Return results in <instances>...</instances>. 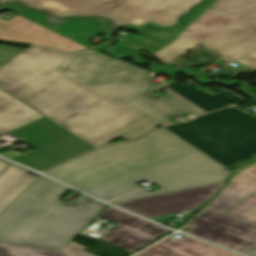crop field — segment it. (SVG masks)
I'll use <instances>...</instances> for the list:
<instances>
[{"instance_id":"obj_18","label":"crop field","mask_w":256,"mask_h":256,"mask_svg":"<svg viewBox=\"0 0 256 256\" xmlns=\"http://www.w3.org/2000/svg\"><path fill=\"white\" fill-rule=\"evenodd\" d=\"M43 117L0 89V135Z\"/></svg>"},{"instance_id":"obj_4","label":"crop field","mask_w":256,"mask_h":256,"mask_svg":"<svg viewBox=\"0 0 256 256\" xmlns=\"http://www.w3.org/2000/svg\"><path fill=\"white\" fill-rule=\"evenodd\" d=\"M166 129L225 167L256 153V118L235 107Z\"/></svg>"},{"instance_id":"obj_16","label":"crop field","mask_w":256,"mask_h":256,"mask_svg":"<svg viewBox=\"0 0 256 256\" xmlns=\"http://www.w3.org/2000/svg\"><path fill=\"white\" fill-rule=\"evenodd\" d=\"M136 256H240L235 253L183 236L166 238Z\"/></svg>"},{"instance_id":"obj_28","label":"crop field","mask_w":256,"mask_h":256,"mask_svg":"<svg viewBox=\"0 0 256 256\" xmlns=\"http://www.w3.org/2000/svg\"><path fill=\"white\" fill-rule=\"evenodd\" d=\"M66 256H93L87 252H84L78 248H75L69 244H67L64 248L60 250Z\"/></svg>"},{"instance_id":"obj_3","label":"crop field","mask_w":256,"mask_h":256,"mask_svg":"<svg viewBox=\"0 0 256 256\" xmlns=\"http://www.w3.org/2000/svg\"><path fill=\"white\" fill-rule=\"evenodd\" d=\"M67 190L38 177L0 214V242L60 250L107 206L84 195L57 201Z\"/></svg>"},{"instance_id":"obj_17","label":"crop field","mask_w":256,"mask_h":256,"mask_svg":"<svg viewBox=\"0 0 256 256\" xmlns=\"http://www.w3.org/2000/svg\"><path fill=\"white\" fill-rule=\"evenodd\" d=\"M231 181L208 206L224 210L256 190V157L252 164H243L241 168H237Z\"/></svg>"},{"instance_id":"obj_23","label":"crop field","mask_w":256,"mask_h":256,"mask_svg":"<svg viewBox=\"0 0 256 256\" xmlns=\"http://www.w3.org/2000/svg\"><path fill=\"white\" fill-rule=\"evenodd\" d=\"M218 0H205V2L199 5L197 8L191 10L190 14L183 17L180 21L181 23L173 28L166 29L174 36L179 37L183 32L185 33L191 26L202 19L208 12V10L217 2Z\"/></svg>"},{"instance_id":"obj_5","label":"crop field","mask_w":256,"mask_h":256,"mask_svg":"<svg viewBox=\"0 0 256 256\" xmlns=\"http://www.w3.org/2000/svg\"><path fill=\"white\" fill-rule=\"evenodd\" d=\"M209 11L234 21L205 40L183 33L151 56L169 63L200 44L220 53L222 60L230 62L256 46V0H220ZM235 62L256 70V48Z\"/></svg>"},{"instance_id":"obj_10","label":"crop field","mask_w":256,"mask_h":256,"mask_svg":"<svg viewBox=\"0 0 256 256\" xmlns=\"http://www.w3.org/2000/svg\"><path fill=\"white\" fill-rule=\"evenodd\" d=\"M227 169L210 157L139 173L170 192L225 181Z\"/></svg>"},{"instance_id":"obj_6","label":"crop field","mask_w":256,"mask_h":256,"mask_svg":"<svg viewBox=\"0 0 256 256\" xmlns=\"http://www.w3.org/2000/svg\"><path fill=\"white\" fill-rule=\"evenodd\" d=\"M11 1L44 12L65 15H95L109 18L114 26L127 23L139 27L150 21L171 26L179 16L201 0H0Z\"/></svg>"},{"instance_id":"obj_2","label":"crop field","mask_w":256,"mask_h":256,"mask_svg":"<svg viewBox=\"0 0 256 256\" xmlns=\"http://www.w3.org/2000/svg\"><path fill=\"white\" fill-rule=\"evenodd\" d=\"M79 84L125 106H133L146 115L115 132L127 141L160 126L168 119L188 111L198 115L201 110L172 93L159 99L148 97L153 90L164 88L148 82L152 76L137 73L136 66L105 58L92 50L69 54L59 68Z\"/></svg>"},{"instance_id":"obj_30","label":"crop field","mask_w":256,"mask_h":256,"mask_svg":"<svg viewBox=\"0 0 256 256\" xmlns=\"http://www.w3.org/2000/svg\"><path fill=\"white\" fill-rule=\"evenodd\" d=\"M9 164V162L0 159V172Z\"/></svg>"},{"instance_id":"obj_15","label":"crop field","mask_w":256,"mask_h":256,"mask_svg":"<svg viewBox=\"0 0 256 256\" xmlns=\"http://www.w3.org/2000/svg\"><path fill=\"white\" fill-rule=\"evenodd\" d=\"M0 39L47 46L66 51L88 49L60 34L41 27L19 16L8 22L0 19Z\"/></svg>"},{"instance_id":"obj_24","label":"crop field","mask_w":256,"mask_h":256,"mask_svg":"<svg viewBox=\"0 0 256 256\" xmlns=\"http://www.w3.org/2000/svg\"><path fill=\"white\" fill-rule=\"evenodd\" d=\"M0 256H65L60 251L0 243Z\"/></svg>"},{"instance_id":"obj_14","label":"crop field","mask_w":256,"mask_h":256,"mask_svg":"<svg viewBox=\"0 0 256 256\" xmlns=\"http://www.w3.org/2000/svg\"><path fill=\"white\" fill-rule=\"evenodd\" d=\"M32 22L42 25L60 33L88 48L92 37L99 36L111 29L109 23L95 18H64L57 19L52 16L42 15L33 11L20 8L17 5L4 7Z\"/></svg>"},{"instance_id":"obj_20","label":"crop field","mask_w":256,"mask_h":256,"mask_svg":"<svg viewBox=\"0 0 256 256\" xmlns=\"http://www.w3.org/2000/svg\"><path fill=\"white\" fill-rule=\"evenodd\" d=\"M124 43L117 41L113 46L114 51L122 53H135L142 50L156 52L176 39L169 32L161 30L144 29L143 36H130Z\"/></svg>"},{"instance_id":"obj_21","label":"crop field","mask_w":256,"mask_h":256,"mask_svg":"<svg viewBox=\"0 0 256 256\" xmlns=\"http://www.w3.org/2000/svg\"><path fill=\"white\" fill-rule=\"evenodd\" d=\"M186 99L190 100L194 104L198 105L207 112H211L226 106L228 103L241 100L234 94L225 91L214 97L208 95L207 93L194 89L188 85L182 84L180 82L172 80L171 84L168 86Z\"/></svg>"},{"instance_id":"obj_12","label":"crop field","mask_w":256,"mask_h":256,"mask_svg":"<svg viewBox=\"0 0 256 256\" xmlns=\"http://www.w3.org/2000/svg\"><path fill=\"white\" fill-rule=\"evenodd\" d=\"M224 184L188 189L168 194L156 195L142 199L118 203L116 205L138 213L147 218L180 212L187 214L197 205L208 200ZM207 202V201H206Z\"/></svg>"},{"instance_id":"obj_22","label":"crop field","mask_w":256,"mask_h":256,"mask_svg":"<svg viewBox=\"0 0 256 256\" xmlns=\"http://www.w3.org/2000/svg\"><path fill=\"white\" fill-rule=\"evenodd\" d=\"M232 20L209 12L202 20L190 28L186 33L205 39L214 31L220 29Z\"/></svg>"},{"instance_id":"obj_7","label":"crop field","mask_w":256,"mask_h":256,"mask_svg":"<svg viewBox=\"0 0 256 256\" xmlns=\"http://www.w3.org/2000/svg\"><path fill=\"white\" fill-rule=\"evenodd\" d=\"M44 173L106 201L146 180L99 149Z\"/></svg>"},{"instance_id":"obj_26","label":"crop field","mask_w":256,"mask_h":256,"mask_svg":"<svg viewBox=\"0 0 256 256\" xmlns=\"http://www.w3.org/2000/svg\"><path fill=\"white\" fill-rule=\"evenodd\" d=\"M162 193H168V191L160 188V189L154 190L152 192H149L148 190L141 188L135 192H132V193H130L126 196H123L119 199H116L110 203L114 204V203H118V202H123V201H127V200H132V199H137V198H142V197L156 195V194H162Z\"/></svg>"},{"instance_id":"obj_1","label":"crop field","mask_w":256,"mask_h":256,"mask_svg":"<svg viewBox=\"0 0 256 256\" xmlns=\"http://www.w3.org/2000/svg\"><path fill=\"white\" fill-rule=\"evenodd\" d=\"M69 53L30 46L0 67V88L99 147L145 115L80 86L58 70Z\"/></svg>"},{"instance_id":"obj_11","label":"crop field","mask_w":256,"mask_h":256,"mask_svg":"<svg viewBox=\"0 0 256 256\" xmlns=\"http://www.w3.org/2000/svg\"><path fill=\"white\" fill-rule=\"evenodd\" d=\"M190 224L187 232L241 253L256 245V226L207 209Z\"/></svg>"},{"instance_id":"obj_19","label":"crop field","mask_w":256,"mask_h":256,"mask_svg":"<svg viewBox=\"0 0 256 256\" xmlns=\"http://www.w3.org/2000/svg\"><path fill=\"white\" fill-rule=\"evenodd\" d=\"M29 171L10 163L0 173V213L36 179Z\"/></svg>"},{"instance_id":"obj_9","label":"crop field","mask_w":256,"mask_h":256,"mask_svg":"<svg viewBox=\"0 0 256 256\" xmlns=\"http://www.w3.org/2000/svg\"><path fill=\"white\" fill-rule=\"evenodd\" d=\"M100 149L136 173L207 157L164 128L134 142Z\"/></svg>"},{"instance_id":"obj_8","label":"crop field","mask_w":256,"mask_h":256,"mask_svg":"<svg viewBox=\"0 0 256 256\" xmlns=\"http://www.w3.org/2000/svg\"><path fill=\"white\" fill-rule=\"evenodd\" d=\"M9 133L33 150L25 154L11 151L1 155L38 171L95 149L45 117Z\"/></svg>"},{"instance_id":"obj_25","label":"crop field","mask_w":256,"mask_h":256,"mask_svg":"<svg viewBox=\"0 0 256 256\" xmlns=\"http://www.w3.org/2000/svg\"><path fill=\"white\" fill-rule=\"evenodd\" d=\"M224 214L256 225V193Z\"/></svg>"},{"instance_id":"obj_13","label":"crop field","mask_w":256,"mask_h":256,"mask_svg":"<svg viewBox=\"0 0 256 256\" xmlns=\"http://www.w3.org/2000/svg\"><path fill=\"white\" fill-rule=\"evenodd\" d=\"M100 217L118 224L103 240L129 252L169 231L111 206Z\"/></svg>"},{"instance_id":"obj_29","label":"crop field","mask_w":256,"mask_h":256,"mask_svg":"<svg viewBox=\"0 0 256 256\" xmlns=\"http://www.w3.org/2000/svg\"><path fill=\"white\" fill-rule=\"evenodd\" d=\"M244 254H247L249 256H256V246L246 251Z\"/></svg>"},{"instance_id":"obj_27","label":"crop field","mask_w":256,"mask_h":256,"mask_svg":"<svg viewBox=\"0 0 256 256\" xmlns=\"http://www.w3.org/2000/svg\"><path fill=\"white\" fill-rule=\"evenodd\" d=\"M23 49L0 45V66L18 55Z\"/></svg>"}]
</instances>
